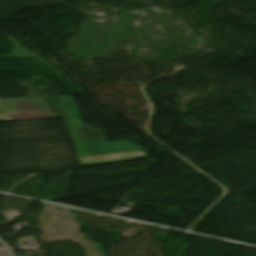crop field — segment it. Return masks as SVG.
<instances>
[{
    "mask_svg": "<svg viewBox=\"0 0 256 256\" xmlns=\"http://www.w3.org/2000/svg\"><path fill=\"white\" fill-rule=\"evenodd\" d=\"M80 116L70 96L0 99V120Z\"/></svg>",
    "mask_w": 256,
    "mask_h": 256,
    "instance_id": "8a807250",
    "label": "crop field"
},
{
    "mask_svg": "<svg viewBox=\"0 0 256 256\" xmlns=\"http://www.w3.org/2000/svg\"><path fill=\"white\" fill-rule=\"evenodd\" d=\"M75 146L84 166L145 158L139 145H132L131 141L75 142Z\"/></svg>",
    "mask_w": 256,
    "mask_h": 256,
    "instance_id": "ac0d7876",
    "label": "crop field"
},
{
    "mask_svg": "<svg viewBox=\"0 0 256 256\" xmlns=\"http://www.w3.org/2000/svg\"><path fill=\"white\" fill-rule=\"evenodd\" d=\"M74 141L105 139L101 130L85 125L81 117L64 118Z\"/></svg>",
    "mask_w": 256,
    "mask_h": 256,
    "instance_id": "34b2d1b8",
    "label": "crop field"
}]
</instances>
